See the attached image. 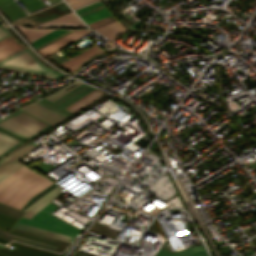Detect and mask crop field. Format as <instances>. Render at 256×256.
I'll list each match as a JSON object with an SVG mask.
<instances>
[{
  "mask_svg": "<svg viewBox=\"0 0 256 256\" xmlns=\"http://www.w3.org/2000/svg\"><path fill=\"white\" fill-rule=\"evenodd\" d=\"M51 183L45 177L32 171L10 187L0 197V202L20 209L28 200Z\"/></svg>",
  "mask_w": 256,
  "mask_h": 256,
  "instance_id": "1",
  "label": "crop field"
},
{
  "mask_svg": "<svg viewBox=\"0 0 256 256\" xmlns=\"http://www.w3.org/2000/svg\"><path fill=\"white\" fill-rule=\"evenodd\" d=\"M0 127L29 140L43 132L49 126L37 121L27 114L17 111L1 119Z\"/></svg>",
  "mask_w": 256,
  "mask_h": 256,
  "instance_id": "2",
  "label": "crop field"
},
{
  "mask_svg": "<svg viewBox=\"0 0 256 256\" xmlns=\"http://www.w3.org/2000/svg\"><path fill=\"white\" fill-rule=\"evenodd\" d=\"M0 67L35 72L54 78H59L62 76L57 72L44 68L42 64L32 55V53L27 48L0 62Z\"/></svg>",
  "mask_w": 256,
  "mask_h": 256,
  "instance_id": "3",
  "label": "crop field"
},
{
  "mask_svg": "<svg viewBox=\"0 0 256 256\" xmlns=\"http://www.w3.org/2000/svg\"><path fill=\"white\" fill-rule=\"evenodd\" d=\"M57 207L53 205L51 202L47 204L44 208H42L36 215H34L31 219L21 217L19 222L47 228L50 230L70 234L76 236V234L80 231L69 224L61 221L60 219L50 215Z\"/></svg>",
  "mask_w": 256,
  "mask_h": 256,
  "instance_id": "4",
  "label": "crop field"
},
{
  "mask_svg": "<svg viewBox=\"0 0 256 256\" xmlns=\"http://www.w3.org/2000/svg\"><path fill=\"white\" fill-rule=\"evenodd\" d=\"M69 12H71L69 7H67L65 5V3H62L60 5L49 8L47 10H44L42 12H39V13L34 14L32 16H29L27 18L21 19L19 21L14 22V23L20 24V25H29V26L34 27V26H37L39 24H42L44 22H47L49 20H52L54 18H57V17L62 16L66 13H69Z\"/></svg>",
  "mask_w": 256,
  "mask_h": 256,
  "instance_id": "5",
  "label": "crop field"
},
{
  "mask_svg": "<svg viewBox=\"0 0 256 256\" xmlns=\"http://www.w3.org/2000/svg\"><path fill=\"white\" fill-rule=\"evenodd\" d=\"M105 52H106L105 50H103L102 48H100L98 45L95 44L93 47L79 53L78 55L68 59L67 61L59 64L58 66L73 73L86 61Z\"/></svg>",
  "mask_w": 256,
  "mask_h": 256,
  "instance_id": "6",
  "label": "crop field"
},
{
  "mask_svg": "<svg viewBox=\"0 0 256 256\" xmlns=\"http://www.w3.org/2000/svg\"><path fill=\"white\" fill-rule=\"evenodd\" d=\"M11 245L17 246L16 249L20 250L22 252L34 255V256H59V254H56L52 251H48V250H44V249H40V248H36L33 246H29L23 243H19V242H10ZM17 250H13L7 247H4L2 249H0L1 252H5L11 255H15V256H31L25 253H22L20 251Z\"/></svg>",
  "mask_w": 256,
  "mask_h": 256,
  "instance_id": "7",
  "label": "crop field"
},
{
  "mask_svg": "<svg viewBox=\"0 0 256 256\" xmlns=\"http://www.w3.org/2000/svg\"><path fill=\"white\" fill-rule=\"evenodd\" d=\"M91 33V31H75L39 50H37L42 56L46 57L47 55L57 51L58 49L68 45L69 43Z\"/></svg>",
  "mask_w": 256,
  "mask_h": 256,
  "instance_id": "8",
  "label": "crop field"
},
{
  "mask_svg": "<svg viewBox=\"0 0 256 256\" xmlns=\"http://www.w3.org/2000/svg\"><path fill=\"white\" fill-rule=\"evenodd\" d=\"M37 27L82 28L84 27V24L73 12H71Z\"/></svg>",
  "mask_w": 256,
  "mask_h": 256,
  "instance_id": "9",
  "label": "crop field"
},
{
  "mask_svg": "<svg viewBox=\"0 0 256 256\" xmlns=\"http://www.w3.org/2000/svg\"><path fill=\"white\" fill-rule=\"evenodd\" d=\"M23 110L33 114L34 116L52 124V125L55 124L56 122L60 121L61 119H63L60 116H58L57 114L49 111L48 109H46L36 103L23 108Z\"/></svg>",
  "mask_w": 256,
  "mask_h": 256,
  "instance_id": "10",
  "label": "crop field"
},
{
  "mask_svg": "<svg viewBox=\"0 0 256 256\" xmlns=\"http://www.w3.org/2000/svg\"><path fill=\"white\" fill-rule=\"evenodd\" d=\"M38 145L34 143H29L17 150H15L12 154L8 155L4 159L0 161V173L4 171L6 168H8L10 165H12L14 162L17 160L21 159L24 157L26 154H28L29 151L33 150L36 148Z\"/></svg>",
  "mask_w": 256,
  "mask_h": 256,
  "instance_id": "11",
  "label": "crop field"
},
{
  "mask_svg": "<svg viewBox=\"0 0 256 256\" xmlns=\"http://www.w3.org/2000/svg\"><path fill=\"white\" fill-rule=\"evenodd\" d=\"M60 187H55L45 195H43L41 198H39L36 202H34L32 205H30L26 211V213L23 215L24 217H32L35 213H37L42 207H44L47 203H49L51 200L55 199L60 194L56 193L55 191L59 189Z\"/></svg>",
  "mask_w": 256,
  "mask_h": 256,
  "instance_id": "12",
  "label": "crop field"
},
{
  "mask_svg": "<svg viewBox=\"0 0 256 256\" xmlns=\"http://www.w3.org/2000/svg\"><path fill=\"white\" fill-rule=\"evenodd\" d=\"M22 44L18 43L12 35L0 41V61L22 49Z\"/></svg>",
  "mask_w": 256,
  "mask_h": 256,
  "instance_id": "13",
  "label": "crop field"
},
{
  "mask_svg": "<svg viewBox=\"0 0 256 256\" xmlns=\"http://www.w3.org/2000/svg\"><path fill=\"white\" fill-rule=\"evenodd\" d=\"M14 227L23 229V230H27V231H31V232H35V233H39V234H43V235H47V236H51V237H55V238H59V239H63V240L69 241V242H72L74 239V236L46 230L43 228H39V227H35V226H31V225H27V224H23V223H19V222H17L14 225Z\"/></svg>",
  "mask_w": 256,
  "mask_h": 256,
  "instance_id": "14",
  "label": "crop field"
},
{
  "mask_svg": "<svg viewBox=\"0 0 256 256\" xmlns=\"http://www.w3.org/2000/svg\"><path fill=\"white\" fill-rule=\"evenodd\" d=\"M155 256H207L202 245L179 250L173 253L159 249Z\"/></svg>",
  "mask_w": 256,
  "mask_h": 256,
  "instance_id": "15",
  "label": "crop field"
},
{
  "mask_svg": "<svg viewBox=\"0 0 256 256\" xmlns=\"http://www.w3.org/2000/svg\"><path fill=\"white\" fill-rule=\"evenodd\" d=\"M103 94L100 90L97 88L87 94L86 96L80 98L79 100L75 101L74 103L68 105L67 107L63 108L71 113L79 110L80 108L84 107L87 103L93 101L94 99L100 97Z\"/></svg>",
  "mask_w": 256,
  "mask_h": 256,
  "instance_id": "16",
  "label": "crop field"
},
{
  "mask_svg": "<svg viewBox=\"0 0 256 256\" xmlns=\"http://www.w3.org/2000/svg\"><path fill=\"white\" fill-rule=\"evenodd\" d=\"M23 142L0 132V157L15 149Z\"/></svg>",
  "mask_w": 256,
  "mask_h": 256,
  "instance_id": "17",
  "label": "crop field"
},
{
  "mask_svg": "<svg viewBox=\"0 0 256 256\" xmlns=\"http://www.w3.org/2000/svg\"><path fill=\"white\" fill-rule=\"evenodd\" d=\"M30 169L27 167H22L18 171H16L14 174L9 176L8 178L4 179L2 182H0V196L10 187L12 186L17 180H19L21 177L29 173Z\"/></svg>",
  "mask_w": 256,
  "mask_h": 256,
  "instance_id": "18",
  "label": "crop field"
},
{
  "mask_svg": "<svg viewBox=\"0 0 256 256\" xmlns=\"http://www.w3.org/2000/svg\"><path fill=\"white\" fill-rule=\"evenodd\" d=\"M95 30L101 32L111 40L114 39L118 34L126 31L118 21L105 25L103 27L97 28Z\"/></svg>",
  "mask_w": 256,
  "mask_h": 256,
  "instance_id": "19",
  "label": "crop field"
},
{
  "mask_svg": "<svg viewBox=\"0 0 256 256\" xmlns=\"http://www.w3.org/2000/svg\"><path fill=\"white\" fill-rule=\"evenodd\" d=\"M18 31L26 38L28 42L31 40L51 31V30H32V29H25L19 26H15Z\"/></svg>",
  "mask_w": 256,
  "mask_h": 256,
  "instance_id": "20",
  "label": "crop field"
},
{
  "mask_svg": "<svg viewBox=\"0 0 256 256\" xmlns=\"http://www.w3.org/2000/svg\"><path fill=\"white\" fill-rule=\"evenodd\" d=\"M23 211L0 204V214L18 220Z\"/></svg>",
  "mask_w": 256,
  "mask_h": 256,
  "instance_id": "21",
  "label": "crop field"
},
{
  "mask_svg": "<svg viewBox=\"0 0 256 256\" xmlns=\"http://www.w3.org/2000/svg\"><path fill=\"white\" fill-rule=\"evenodd\" d=\"M111 15V13L109 12L108 9L104 8L102 10H99L97 12H94L92 14H89L87 16H84L82 17V19L84 20V22L86 24L90 23V22H93V21H96L98 19H101L103 17H106V16H109Z\"/></svg>",
  "mask_w": 256,
  "mask_h": 256,
  "instance_id": "22",
  "label": "crop field"
},
{
  "mask_svg": "<svg viewBox=\"0 0 256 256\" xmlns=\"http://www.w3.org/2000/svg\"><path fill=\"white\" fill-rule=\"evenodd\" d=\"M64 32H66V31L54 30V31H52V32H50V33H48V34H46V35H44V36L34 40V41H32L31 44L35 48V47H37V46H39V45H41V44L51 40L52 38H54V37H56V36H58V35H60V34H62Z\"/></svg>",
  "mask_w": 256,
  "mask_h": 256,
  "instance_id": "23",
  "label": "crop field"
},
{
  "mask_svg": "<svg viewBox=\"0 0 256 256\" xmlns=\"http://www.w3.org/2000/svg\"><path fill=\"white\" fill-rule=\"evenodd\" d=\"M75 84H77V85L72 87V88H70V89H68V90H66V91H64V92H62L63 90H65V89H67V88H69V87H71V86H73ZM80 84L81 83H78V82L75 81V82L67 85L66 87L60 89L59 91L55 92L54 94H52V95H50L48 97H45V98L52 102V101L56 100L57 98H59L60 96L64 95L65 93L69 92L70 90L74 89L75 87H77Z\"/></svg>",
  "mask_w": 256,
  "mask_h": 256,
  "instance_id": "24",
  "label": "crop field"
},
{
  "mask_svg": "<svg viewBox=\"0 0 256 256\" xmlns=\"http://www.w3.org/2000/svg\"><path fill=\"white\" fill-rule=\"evenodd\" d=\"M113 21H116V19L114 18L113 15L109 16V17H106V18H103L101 20H98L96 22H93V23H90L88 24V26L92 29L94 28H97L99 26H102V25H105V24H108V23H111Z\"/></svg>",
  "mask_w": 256,
  "mask_h": 256,
  "instance_id": "25",
  "label": "crop field"
},
{
  "mask_svg": "<svg viewBox=\"0 0 256 256\" xmlns=\"http://www.w3.org/2000/svg\"><path fill=\"white\" fill-rule=\"evenodd\" d=\"M20 162L14 163L12 166H10L8 169H6L3 173L0 174V181L6 178L8 175H10L12 172H14L16 169H18L20 166H22Z\"/></svg>",
  "mask_w": 256,
  "mask_h": 256,
  "instance_id": "26",
  "label": "crop field"
},
{
  "mask_svg": "<svg viewBox=\"0 0 256 256\" xmlns=\"http://www.w3.org/2000/svg\"><path fill=\"white\" fill-rule=\"evenodd\" d=\"M9 235L14 236V238H18V239H21V240L29 241V242H32V243H36V244H39V245H43V246H47V247L56 249V245L44 243V242H41V241L25 238V237L14 235V234H10V233H9Z\"/></svg>",
  "mask_w": 256,
  "mask_h": 256,
  "instance_id": "27",
  "label": "crop field"
},
{
  "mask_svg": "<svg viewBox=\"0 0 256 256\" xmlns=\"http://www.w3.org/2000/svg\"><path fill=\"white\" fill-rule=\"evenodd\" d=\"M0 219L1 220H5V221H9V222H13L15 223L16 220H13V219H10V218H7V217H4V216H1L0 215ZM0 220V228L4 229V230H9L10 227L13 225V223H9V222H5V221H1ZM12 228V227H11Z\"/></svg>",
  "mask_w": 256,
  "mask_h": 256,
  "instance_id": "28",
  "label": "crop field"
},
{
  "mask_svg": "<svg viewBox=\"0 0 256 256\" xmlns=\"http://www.w3.org/2000/svg\"><path fill=\"white\" fill-rule=\"evenodd\" d=\"M70 6L72 9L78 7V6H81L83 4H86L90 1H93V0H65Z\"/></svg>",
  "mask_w": 256,
  "mask_h": 256,
  "instance_id": "29",
  "label": "crop field"
},
{
  "mask_svg": "<svg viewBox=\"0 0 256 256\" xmlns=\"http://www.w3.org/2000/svg\"><path fill=\"white\" fill-rule=\"evenodd\" d=\"M68 244H69V242H66V241L61 240V242L59 243V245H58L56 251L62 252V251L66 248V246H67Z\"/></svg>",
  "mask_w": 256,
  "mask_h": 256,
  "instance_id": "30",
  "label": "crop field"
},
{
  "mask_svg": "<svg viewBox=\"0 0 256 256\" xmlns=\"http://www.w3.org/2000/svg\"><path fill=\"white\" fill-rule=\"evenodd\" d=\"M11 35L6 29L0 27V40Z\"/></svg>",
  "mask_w": 256,
  "mask_h": 256,
  "instance_id": "31",
  "label": "crop field"
},
{
  "mask_svg": "<svg viewBox=\"0 0 256 256\" xmlns=\"http://www.w3.org/2000/svg\"><path fill=\"white\" fill-rule=\"evenodd\" d=\"M10 233H14V234H18V235H22V236H25V237H29V238H33V239H37V240H41V241H44V242H48V243H52V244H56L57 243H53V242H49V241H46V240H42V239H38V238H34V237H31V236H27V235H23V234H20V233H16V232H10Z\"/></svg>",
  "mask_w": 256,
  "mask_h": 256,
  "instance_id": "32",
  "label": "crop field"
},
{
  "mask_svg": "<svg viewBox=\"0 0 256 256\" xmlns=\"http://www.w3.org/2000/svg\"><path fill=\"white\" fill-rule=\"evenodd\" d=\"M0 131H1V132H4V133H6V134H9V135H11V136H13V137H15V138H18V139H20V140H22V141H24V139H22V138H20V137H18V136H16V135H14V134H12V133H10V132L4 130V129H2V128H0Z\"/></svg>",
  "mask_w": 256,
  "mask_h": 256,
  "instance_id": "33",
  "label": "crop field"
},
{
  "mask_svg": "<svg viewBox=\"0 0 256 256\" xmlns=\"http://www.w3.org/2000/svg\"><path fill=\"white\" fill-rule=\"evenodd\" d=\"M36 103H38V104H40V105H42V106H44V107H46V108H48V109H50V110L54 111L55 113H57L58 115L62 116L63 118H64V117H66V116H64V115L60 114L59 112H57V111L53 110L52 108H50V107H48V106H46V105H44V104H42V103H40V102H38V101H37Z\"/></svg>",
  "mask_w": 256,
  "mask_h": 256,
  "instance_id": "34",
  "label": "crop field"
},
{
  "mask_svg": "<svg viewBox=\"0 0 256 256\" xmlns=\"http://www.w3.org/2000/svg\"><path fill=\"white\" fill-rule=\"evenodd\" d=\"M12 239H13V240H17V241H21V240L14 239V238H12ZM21 242H25V241H21ZM25 243H29V242H25ZM29 244H32V243H29ZM32 245H36V244H32ZM36 246H39V245H36ZM39 247H43V246H39ZM43 248L50 249V248H47V247H43ZM50 250H53V251H54V249H50Z\"/></svg>",
  "mask_w": 256,
  "mask_h": 256,
  "instance_id": "35",
  "label": "crop field"
},
{
  "mask_svg": "<svg viewBox=\"0 0 256 256\" xmlns=\"http://www.w3.org/2000/svg\"><path fill=\"white\" fill-rule=\"evenodd\" d=\"M7 243H8V241L0 239V244H7Z\"/></svg>",
  "mask_w": 256,
  "mask_h": 256,
  "instance_id": "36",
  "label": "crop field"
},
{
  "mask_svg": "<svg viewBox=\"0 0 256 256\" xmlns=\"http://www.w3.org/2000/svg\"><path fill=\"white\" fill-rule=\"evenodd\" d=\"M72 256H84V255L74 253Z\"/></svg>",
  "mask_w": 256,
  "mask_h": 256,
  "instance_id": "37",
  "label": "crop field"
},
{
  "mask_svg": "<svg viewBox=\"0 0 256 256\" xmlns=\"http://www.w3.org/2000/svg\"><path fill=\"white\" fill-rule=\"evenodd\" d=\"M0 256H5V255L0 254Z\"/></svg>",
  "mask_w": 256,
  "mask_h": 256,
  "instance_id": "38",
  "label": "crop field"
},
{
  "mask_svg": "<svg viewBox=\"0 0 256 256\" xmlns=\"http://www.w3.org/2000/svg\"><path fill=\"white\" fill-rule=\"evenodd\" d=\"M0 247H3V245H0Z\"/></svg>",
  "mask_w": 256,
  "mask_h": 256,
  "instance_id": "39",
  "label": "crop field"
},
{
  "mask_svg": "<svg viewBox=\"0 0 256 256\" xmlns=\"http://www.w3.org/2000/svg\"><path fill=\"white\" fill-rule=\"evenodd\" d=\"M3 254V253H2ZM5 255H7V254H5ZM8 256H10V255H8Z\"/></svg>",
  "mask_w": 256,
  "mask_h": 256,
  "instance_id": "40",
  "label": "crop field"
}]
</instances>
